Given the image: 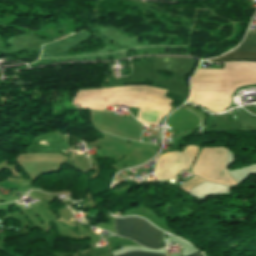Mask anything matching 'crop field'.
<instances>
[{"instance_id": "crop-field-1", "label": "crop field", "mask_w": 256, "mask_h": 256, "mask_svg": "<svg viewBox=\"0 0 256 256\" xmlns=\"http://www.w3.org/2000/svg\"><path fill=\"white\" fill-rule=\"evenodd\" d=\"M114 223L115 232L120 236L135 240L153 249H161L163 247L162 232L142 218L115 219Z\"/></svg>"}, {"instance_id": "crop-field-3", "label": "crop field", "mask_w": 256, "mask_h": 256, "mask_svg": "<svg viewBox=\"0 0 256 256\" xmlns=\"http://www.w3.org/2000/svg\"><path fill=\"white\" fill-rule=\"evenodd\" d=\"M117 256H167V255L152 254V253H145V252H129V253H125L123 255H117ZM190 256H202V255L201 253L197 252Z\"/></svg>"}, {"instance_id": "crop-field-2", "label": "crop field", "mask_w": 256, "mask_h": 256, "mask_svg": "<svg viewBox=\"0 0 256 256\" xmlns=\"http://www.w3.org/2000/svg\"><path fill=\"white\" fill-rule=\"evenodd\" d=\"M236 50L256 51V30L254 33L248 32L245 40ZM209 61H212V62L256 61V52L232 51L217 59H212Z\"/></svg>"}]
</instances>
